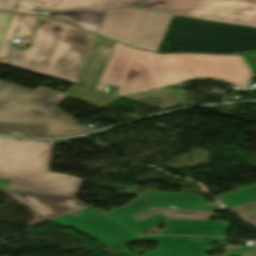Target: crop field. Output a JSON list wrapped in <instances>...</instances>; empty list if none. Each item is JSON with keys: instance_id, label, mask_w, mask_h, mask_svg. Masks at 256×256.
I'll use <instances>...</instances> for the list:
<instances>
[{"instance_id": "obj_1", "label": "crop field", "mask_w": 256, "mask_h": 256, "mask_svg": "<svg viewBox=\"0 0 256 256\" xmlns=\"http://www.w3.org/2000/svg\"><path fill=\"white\" fill-rule=\"evenodd\" d=\"M198 78L230 83L214 55H160L116 42L97 89L119 86L124 95Z\"/></svg>"}, {"instance_id": "obj_2", "label": "crop field", "mask_w": 256, "mask_h": 256, "mask_svg": "<svg viewBox=\"0 0 256 256\" xmlns=\"http://www.w3.org/2000/svg\"><path fill=\"white\" fill-rule=\"evenodd\" d=\"M95 35L42 17L28 49L14 48L8 65L75 83Z\"/></svg>"}, {"instance_id": "obj_3", "label": "crop field", "mask_w": 256, "mask_h": 256, "mask_svg": "<svg viewBox=\"0 0 256 256\" xmlns=\"http://www.w3.org/2000/svg\"><path fill=\"white\" fill-rule=\"evenodd\" d=\"M52 141L0 138V178L12 179L7 188L75 196L83 180L48 173Z\"/></svg>"}, {"instance_id": "obj_4", "label": "crop field", "mask_w": 256, "mask_h": 256, "mask_svg": "<svg viewBox=\"0 0 256 256\" xmlns=\"http://www.w3.org/2000/svg\"><path fill=\"white\" fill-rule=\"evenodd\" d=\"M39 87L35 91L0 81V122L38 125L32 137L69 136L91 130L56 106L67 97Z\"/></svg>"}, {"instance_id": "obj_5", "label": "crop field", "mask_w": 256, "mask_h": 256, "mask_svg": "<svg viewBox=\"0 0 256 256\" xmlns=\"http://www.w3.org/2000/svg\"><path fill=\"white\" fill-rule=\"evenodd\" d=\"M256 50V28L173 15L159 53L230 54Z\"/></svg>"}, {"instance_id": "obj_6", "label": "crop field", "mask_w": 256, "mask_h": 256, "mask_svg": "<svg viewBox=\"0 0 256 256\" xmlns=\"http://www.w3.org/2000/svg\"><path fill=\"white\" fill-rule=\"evenodd\" d=\"M79 217L70 214L51 220L61 226H70L95 240L108 245L128 256H137L126 246L134 240L157 241V251L143 253V256H206L210 251L207 243L226 238L177 237V236H141L113 220L85 207ZM199 240L198 242H194Z\"/></svg>"}, {"instance_id": "obj_7", "label": "crop field", "mask_w": 256, "mask_h": 256, "mask_svg": "<svg viewBox=\"0 0 256 256\" xmlns=\"http://www.w3.org/2000/svg\"><path fill=\"white\" fill-rule=\"evenodd\" d=\"M150 207L189 208L226 211L222 206L207 205L203 198L192 194L145 192L126 206L104 214L133 231H142L161 222L168 229L158 234L224 236L228 224L214 221L170 220L158 214L141 222L130 216Z\"/></svg>"}, {"instance_id": "obj_8", "label": "crop field", "mask_w": 256, "mask_h": 256, "mask_svg": "<svg viewBox=\"0 0 256 256\" xmlns=\"http://www.w3.org/2000/svg\"><path fill=\"white\" fill-rule=\"evenodd\" d=\"M171 16L131 8L109 9L98 35L156 52Z\"/></svg>"}, {"instance_id": "obj_9", "label": "crop field", "mask_w": 256, "mask_h": 256, "mask_svg": "<svg viewBox=\"0 0 256 256\" xmlns=\"http://www.w3.org/2000/svg\"><path fill=\"white\" fill-rule=\"evenodd\" d=\"M141 9L256 27V0H148Z\"/></svg>"}, {"instance_id": "obj_10", "label": "crop field", "mask_w": 256, "mask_h": 256, "mask_svg": "<svg viewBox=\"0 0 256 256\" xmlns=\"http://www.w3.org/2000/svg\"><path fill=\"white\" fill-rule=\"evenodd\" d=\"M26 205L51 220L86 205L71 197L6 190Z\"/></svg>"}, {"instance_id": "obj_11", "label": "crop field", "mask_w": 256, "mask_h": 256, "mask_svg": "<svg viewBox=\"0 0 256 256\" xmlns=\"http://www.w3.org/2000/svg\"><path fill=\"white\" fill-rule=\"evenodd\" d=\"M40 8L24 0H19L14 12L41 15L43 8ZM107 10L108 9L47 11L48 13L44 16L68 21L84 30L97 34Z\"/></svg>"}, {"instance_id": "obj_12", "label": "crop field", "mask_w": 256, "mask_h": 256, "mask_svg": "<svg viewBox=\"0 0 256 256\" xmlns=\"http://www.w3.org/2000/svg\"><path fill=\"white\" fill-rule=\"evenodd\" d=\"M114 43L112 40L96 37L77 84L93 89L97 87Z\"/></svg>"}, {"instance_id": "obj_13", "label": "crop field", "mask_w": 256, "mask_h": 256, "mask_svg": "<svg viewBox=\"0 0 256 256\" xmlns=\"http://www.w3.org/2000/svg\"><path fill=\"white\" fill-rule=\"evenodd\" d=\"M45 10L131 7L139 9L146 0H26Z\"/></svg>"}, {"instance_id": "obj_14", "label": "crop field", "mask_w": 256, "mask_h": 256, "mask_svg": "<svg viewBox=\"0 0 256 256\" xmlns=\"http://www.w3.org/2000/svg\"><path fill=\"white\" fill-rule=\"evenodd\" d=\"M38 16L14 13L0 46V59L7 58L12 43L9 40L33 34Z\"/></svg>"}, {"instance_id": "obj_15", "label": "crop field", "mask_w": 256, "mask_h": 256, "mask_svg": "<svg viewBox=\"0 0 256 256\" xmlns=\"http://www.w3.org/2000/svg\"><path fill=\"white\" fill-rule=\"evenodd\" d=\"M231 84L248 89L250 81L255 78L242 56L215 55Z\"/></svg>"}, {"instance_id": "obj_16", "label": "crop field", "mask_w": 256, "mask_h": 256, "mask_svg": "<svg viewBox=\"0 0 256 256\" xmlns=\"http://www.w3.org/2000/svg\"><path fill=\"white\" fill-rule=\"evenodd\" d=\"M215 212V211H214ZM161 213L171 219H190V220H209L213 211L207 210H189V209H163V208H150L141 213H138L133 218L141 221L150 216Z\"/></svg>"}, {"instance_id": "obj_17", "label": "crop field", "mask_w": 256, "mask_h": 256, "mask_svg": "<svg viewBox=\"0 0 256 256\" xmlns=\"http://www.w3.org/2000/svg\"><path fill=\"white\" fill-rule=\"evenodd\" d=\"M216 198L226 201L223 204L229 208L256 201V185Z\"/></svg>"}, {"instance_id": "obj_18", "label": "crop field", "mask_w": 256, "mask_h": 256, "mask_svg": "<svg viewBox=\"0 0 256 256\" xmlns=\"http://www.w3.org/2000/svg\"><path fill=\"white\" fill-rule=\"evenodd\" d=\"M35 127L0 124V134L31 136Z\"/></svg>"}, {"instance_id": "obj_19", "label": "crop field", "mask_w": 256, "mask_h": 256, "mask_svg": "<svg viewBox=\"0 0 256 256\" xmlns=\"http://www.w3.org/2000/svg\"><path fill=\"white\" fill-rule=\"evenodd\" d=\"M13 13L0 11V43Z\"/></svg>"}, {"instance_id": "obj_20", "label": "crop field", "mask_w": 256, "mask_h": 256, "mask_svg": "<svg viewBox=\"0 0 256 256\" xmlns=\"http://www.w3.org/2000/svg\"><path fill=\"white\" fill-rule=\"evenodd\" d=\"M18 0H0V10L13 12Z\"/></svg>"}, {"instance_id": "obj_21", "label": "crop field", "mask_w": 256, "mask_h": 256, "mask_svg": "<svg viewBox=\"0 0 256 256\" xmlns=\"http://www.w3.org/2000/svg\"><path fill=\"white\" fill-rule=\"evenodd\" d=\"M252 72H256V52L243 55Z\"/></svg>"}, {"instance_id": "obj_22", "label": "crop field", "mask_w": 256, "mask_h": 256, "mask_svg": "<svg viewBox=\"0 0 256 256\" xmlns=\"http://www.w3.org/2000/svg\"><path fill=\"white\" fill-rule=\"evenodd\" d=\"M250 249H256V242H252L251 246L225 248V252L226 254H228V253H234V252L245 251Z\"/></svg>"}, {"instance_id": "obj_23", "label": "crop field", "mask_w": 256, "mask_h": 256, "mask_svg": "<svg viewBox=\"0 0 256 256\" xmlns=\"http://www.w3.org/2000/svg\"><path fill=\"white\" fill-rule=\"evenodd\" d=\"M224 256H256V250L228 254V255H224Z\"/></svg>"}, {"instance_id": "obj_24", "label": "crop field", "mask_w": 256, "mask_h": 256, "mask_svg": "<svg viewBox=\"0 0 256 256\" xmlns=\"http://www.w3.org/2000/svg\"><path fill=\"white\" fill-rule=\"evenodd\" d=\"M9 180L0 179V188L1 190H5Z\"/></svg>"}]
</instances>
